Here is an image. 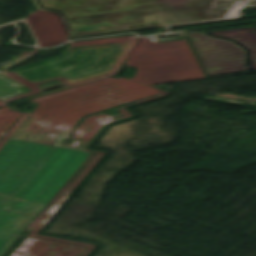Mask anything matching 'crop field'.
Returning <instances> with one entry per match:
<instances>
[{
    "label": "crop field",
    "instance_id": "1",
    "mask_svg": "<svg viewBox=\"0 0 256 256\" xmlns=\"http://www.w3.org/2000/svg\"><path fill=\"white\" fill-rule=\"evenodd\" d=\"M57 98L41 102L0 152V256L22 232L33 230L11 256H18L40 228L89 174L82 164L89 147L109 123ZM42 229V228H41Z\"/></svg>",
    "mask_w": 256,
    "mask_h": 256
},
{
    "label": "crop field",
    "instance_id": "2",
    "mask_svg": "<svg viewBox=\"0 0 256 256\" xmlns=\"http://www.w3.org/2000/svg\"><path fill=\"white\" fill-rule=\"evenodd\" d=\"M38 91L41 90L0 71V99L9 102Z\"/></svg>",
    "mask_w": 256,
    "mask_h": 256
}]
</instances>
